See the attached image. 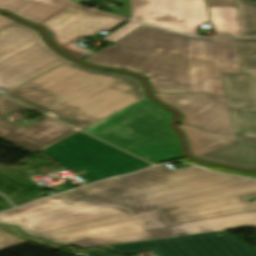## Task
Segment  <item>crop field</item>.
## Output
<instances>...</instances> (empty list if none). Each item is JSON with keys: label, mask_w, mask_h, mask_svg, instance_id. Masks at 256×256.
Segmentation results:
<instances>
[{"label": "crop field", "mask_w": 256, "mask_h": 256, "mask_svg": "<svg viewBox=\"0 0 256 256\" xmlns=\"http://www.w3.org/2000/svg\"><path fill=\"white\" fill-rule=\"evenodd\" d=\"M255 231H256V228H255Z\"/></svg>", "instance_id": "36"}, {"label": "crop field", "mask_w": 256, "mask_h": 256, "mask_svg": "<svg viewBox=\"0 0 256 256\" xmlns=\"http://www.w3.org/2000/svg\"><path fill=\"white\" fill-rule=\"evenodd\" d=\"M190 93L227 103L213 38L188 37Z\"/></svg>", "instance_id": "12"}, {"label": "crop field", "mask_w": 256, "mask_h": 256, "mask_svg": "<svg viewBox=\"0 0 256 256\" xmlns=\"http://www.w3.org/2000/svg\"><path fill=\"white\" fill-rule=\"evenodd\" d=\"M101 248L120 255L154 250L157 256H256L255 249L225 232L101 246ZM87 251L101 256H115L99 249Z\"/></svg>", "instance_id": "9"}, {"label": "crop field", "mask_w": 256, "mask_h": 256, "mask_svg": "<svg viewBox=\"0 0 256 256\" xmlns=\"http://www.w3.org/2000/svg\"><path fill=\"white\" fill-rule=\"evenodd\" d=\"M83 61L148 77L155 92L189 93L187 36L143 25Z\"/></svg>", "instance_id": "3"}, {"label": "crop field", "mask_w": 256, "mask_h": 256, "mask_svg": "<svg viewBox=\"0 0 256 256\" xmlns=\"http://www.w3.org/2000/svg\"><path fill=\"white\" fill-rule=\"evenodd\" d=\"M80 253H82V254H80L78 256H97V255L90 254V253H88L86 251H81Z\"/></svg>", "instance_id": "35"}, {"label": "crop field", "mask_w": 256, "mask_h": 256, "mask_svg": "<svg viewBox=\"0 0 256 256\" xmlns=\"http://www.w3.org/2000/svg\"><path fill=\"white\" fill-rule=\"evenodd\" d=\"M179 128L185 133L189 152L194 157L234 141L233 136H218L183 124Z\"/></svg>", "instance_id": "19"}, {"label": "crop field", "mask_w": 256, "mask_h": 256, "mask_svg": "<svg viewBox=\"0 0 256 256\" xmlns=\"http://www.w3.org/2000/svg\"><path fill=\"white\" fill-rule=\"evenodd\" d=\"M0 137L3 138V139H6V140H8L12 143H15V144H17L21 147H24V148H26V149L34 152V153H37V152L41 151L42 149H44V148L33 145L31 143H28L24 140L18 139L16 137L12 136V135H9V134L3 133V132H0Z\"/></svg>", "instance_id": "28"}, {"label": "crop field", "mask_w": 256, "mask_h": 256, "mask_svg": "<svg viewBox=\"0 0 256 256\" xmlns=\"http://www.w3.org/2000/svg\"><path fill=\"white\" fill-rule=\"evenodd\" d=\"M0 228L6 232H9L17 237H20L22 239H25V240H28V241H31V242H34V243H38V244H42V245H46V246H50V247H54V248H63V247H66V246H60V245H52V244H49L45 241H42L38 238H33V237H30V236H27L25 235L24 233H22L19 229H17L16 227H6L4 225H0ZM66 248H69V249H73V250H79L75 247H66Z\"/></svg>", "instance_id": "26"}, {"label": "crop field", "mask_w": 256, "mask_h": 256, "mask_svg": "<svg viewBox=\"0 0 256 256\" xmlns=\"http://www.w3.org/2000/svg\"><path fill=\"white\" fill-rule=\"evenodd\" d=\"M235 142L196 158L230 166L256 169V139L234 136Z\"/></svg>", "instance_id": "16"}, {"label": "crop field", "mask_w": 256, "mask_h": 256, "mask_svg": "<svg viewBox=\"0 0 256 256\" xmlns=\"http://www.w3.org/2000/svg\"><path fill=\"white\" fill-rule=\"evenodd\" d=\"M195 165H198V166H201V167H204V168H208V169H212V170H216V171H221V172H226V173H231V174H236V175L256 178V175H253V174H246V173H241V172L227 171V170H223V169H219V168H215V167H211V166H207V165H203V164H199V163H196Z\"/></svg>", "instance_id": "32"}, {"label": "crop field", "mask_w": 256, "mask_h": 256, "mask_svg": "<svg viewBox=\"0 0 256 256\" xmlns=\"http://www.w3.org/2000/svg\"><path fill=\"white\" fill-rule=\"evenodd\" d=\"M239 70L256 71V39L233 38Z\"/></svg>", "instance_id": "21"}, {"label": "crop field", "mask_w": 256, "mask_h": 256, "mask_svg": "<svg viewBox=\"0 0 256 256\" xmlns=\"http://www.w3.org/2000/svg\"><path fill=\"white\" fill-rule=\"evenodd\" d=\"M126 21L68 5L38 25L49 31L52 41L59 48L82 59L84 56L79 54L80 52L88 55L93 53L76 45V42L86 36L95 38L101 35L98 33L101 30L112 31Z\"/></svg>", "instance_id": "10"}, {"label": "crop field", "mask_w": 256, "mask_h": 256, "mask_svg": "<svg viewBox=\"0 0 256 256\" xmlns=\"http://www.w3.org/2000/svg\"><path fill=\"white\" fill-rule=\"evenodd\" d=\"M159 100L167 103L170 106H175L176 104H178L180 101H182L187 94H181V95H162L159 93L155 94Z\"/></svg>", "instance_id": "30"}, {"label": "crop field", "mask_w": 256, "mask_h": 256, "mask_svg": "<svg viewBox=\"0 0 256 256\" xmlns=\"http://www.w3.org/2000/svg\"><path fill=\"white\" fill-rule=\"evenodd\" d=\"M243 36H256V2L237 0Z\"/></svg>", "instance_id": "25"}, {"label": "crop field", "mask_w": 256, "mask_h": 256, "mask_svg": "<svg viewBox=\"0 0 256 256\" xmlns=\"http://www.w3.org/2000/svg\"><path fill=\"white\" fill-rule=\"evenodd\" d=\"M12 23H14L13 20L3 16V15H0V30L8 27L9 25H11Z\"/></svg>", "instance_id": "33"}, {"label": "crop field", "mask_w": 256, "mask_h": 256, "mask_svg": "<svg viewBox=\"0 0 256 256\" xmlns=\"http://www.w3.org/2000/svg\"><path fill=\"white\" fill-rule=\"evenodd\" d=\"M256 227V212L168 225L159 209L42 237L82 248Z\"/></svg>", "instance_id": "4"}, {"label": "crop field", "mask_w": 256, "mask_h": 256, "mask_svg": "<svg viewBox=\"0 0 256 256\" xmlns=\"http://www.w3.org/2000/svg\"><path fill=\"white\" fill-rule=\"evenodd\" d=\"M209 6H237L236 0H208Z\"/></svg>", "instance_id": "31"}, {"label": "crop field", "mask_w": 256, "mask_h": 256, "mask_svg": "<svg viewBox=\"0 0 256 256\" xmlns=\"http://www.w3.org/2000/svg\"><path fill=\"white\" fill-rule=\"evenodd\" d=\"M67 60L38 31L16 22L0 32V90L6 92Z\"/></svg>", "instance_id": "7"}, {"label": "crop field", "mask_w": 256, "mask_h": 256, "mask_svg": "<svg viewBox=\"0 0 256 256\" xmlns=\"http://www.w3.org/2000/svg\"><path fill=\"white\" fill-rule=\"evenodd\" d=\"M229 112L234 135L256 138V112L234 108H229Z\"/></svg>", "instance_id": "22"}, {"label": "crop field", "mask_w": 256, "mask_h": 256, "mask_svg": "<svg viewBox=\"0 0 256 256\" xmlns=\"http://www.w3.org/2000/svg\"><path fill=\"white\" fill-rule=\"evenodd\" d=\"M173 108L183 113V120L180 123L218 135H232L227 104L218 103L203 94H188Z\"/></svg>", "instance_id": "14"}, {"label": "crop field", "mask_w": 256, "mask_h": 256, "mask_svg": "<svg viewBox=\"0 0 256 256\" xmlns=\"http://www.w3.org/2000/svg\"><path fill=\"white\" fill-rule=\"evenodd\" d=\"M207 21L209 20L205 0H187L188 33L198 35L197 28Z\"/></svg>", "instance_id": "24"}, {"label": "crop field", "mask_w": 256, "mask_h": 256, "mask_svg": "<svg viewBox=\"0 0 256 256\" xmlns=\"http://www.w3.org/2000/svg\"><path fill=\"white\" fill-rule=\"evenodd\" d=\"M256 196V186L242 188L170 207L161 208L168 224L256 211V203L243 197Z\"/></svg>", "instance_id": "11"}, {"label": "crop field", "mask_w": 256, "mask_h": 256, "mask_svg": "<svg viewBox=\"0 0 256 256\" xmlns=\"http://www.w3.org/2000/svg\"><path fill=\"white\" fill-rule=\"evenodd\" d=\"M216 36H242L237 7H209Z\"/></svg>", "instance_id": "20"}, {"label": "crop field", "mask_w": 256, "mask_h": 256, "mask_svg": "<svg viewBox=\"0 0 256 256\" xmlns=\"http://www.w3.org/2000/svg\"><path fill=\"white\" fill-rule=\"evenodd\" d=\"M67 0H0V8L33 23H40L66 5Z\"/></svg>", "instance_id": "18"}, {"label": "crop field", "mask_w": 256, "mask_h": 256, "mask_svg": "<svg viewBox=\"0 0 256 256\" xmlns=\"http://www.w3.org/2000/svg\"><path fill=\"white\" fill-rule=\"evenodd\" d=\"M25 108H26V107L20 105V106H18V107H16V108L12 109V110H10V111H11V112H14V113H17V112H19V111H21V110H23V109H25Z\"/></svg>", "instance_id": "34"}, {"label": "crop field", "mask_w": 256, "mask_h": 256, "mask_svg": "<svg viewBox=\"0 0 256 256\" xmlns=\"http://www.w3.org/2000/svg\"><path fill=\"white\" fill-rule=\"evenodd\" d=\"M121 207L62 196L36 201L0 215V223L18 225L30 235L42 237L119 217L132 215Z\"/></svg>", "instance_id": "6"}, {"label": "crop field", "mask_w": 256, "mask_h": 256, "mask_svg": "<svg viewBox=\"0 0 256 256\" xmlns=\"http://www.w3.org/2000/svg\"><path fill=\"white\" fill-rule=\"evenodd\" d=\"M19 104L0 96V131L25 139L44 148L78 132L46 116L21 126L7 118L15 115L8 110Z\"/></svg>", "instance_id": "13"}, {"label": "crop field", "mask_w": 256, "mask_h": 256, "mask_svg": "<svg viewBox=\"0 0 256 256\" xmlns=\"http://www.w3.org/2000/svg\"><path fill=\"white\" fill-rule=\"evenodd\" d=\"M222 72H239L231 38H214Z\"/></svg>", "instance_id": "23"}, {"label": "crop field", "mask_w": 256, "mask_h": 256, "mask_svg": "<svg viewBox=\"0 0 256 256\" xmlns=\"http://www.w3.org/2000/svg\"><path fill=\"white\" fill-rule=\"evenodd\" d=\"M251 185L256 181L195 167L172 171L159 166L61 195L73 202L92 200L138 213Z\"/></svg>", "instance_id": "2"}, {"label": "crop field", "mask_w": 256, "mask_h": 256, "mask_svg": "<svg viewBox=\"0 0 256 256\" xmlns=\"http://www.w3.org/2000/svg\"><path fill=\"white\" fill-rule=\"evenodd\" d=\"M43 152L70 171L89 172L80 175L88 182L139 170L150 165L81 132Z\"/></svg>", "instance_id": "8"}, {"label": "crop field", "mask_w": 256, "mask_h": 256, "mask_svg": "<svg viewBox=\"0 0 256 256\" xmlns=\"http://www.w3.org/2000/svg\"><path fill=\"white\" fill-rule=\"evenodd\" d=\"M141 25L142 24L130 21L129 23L125 24L124 26H122L118 30H116L113 33H111L110 35H108L102 41H106V42L112 43V42L120 39L121 37L125 36L129 32L133 31L134 29L138 28Z\"/></svg>", "instance_id": "27"}, {"label": "crop field", "mask_w": 256, "mask_h": 256, "mask_svg": "<svg viewBox=\"0 0 256 256\" xmlns=\"http://www.w3.org/2000/svg\"><path fill=\"white\" fill-rule=\"evenodd\" d=\"M228 106L256 111V72L222 73Z\"/></svg>", "instance_id": "17"}, {"label": "crop field", "mask_w": 256, "mask_h": 256, "mask_svg": "<svg viewBox=\"0 0 256 256\" xmlns=\"http://www.w3.org/2000/svg\"><path fill=\"white\" fill-rule=\"evenodd\" d=\"M4 95L80 130L145 98L137 79L70 61Z\"/></svg>", "instance_id": "1"}, {"label": "crop field", "mask_w": 256, "mask_h": 256, "mask_svg": "<svg viewBox=\"0 0 256 256\" xmlns=\"http://www.w3.org/2000/svg\"><path fill=\"white\" fill-rule=\"evenodd\" d=\"M25 243L24 241L0 231V251Z\"/></svg>", "instance_id": "29"}, {"label": "crop field", "mask_w": 256, "mask_h": 256, "mask_svg": "<svg viewBox=\"0 0 256 256\" xmlns=\"http://www.w3.org/2000/svg\"><path fill=\"white\" fill-rule=\"evenodd\" d=\"M133 19L187 33L186 0H130Z\"/></svg>", "instance_id": "15"}, {"label": "crop field", "mask_w": 256, "mask_h": 256, "mask_svg": "<svg viewBox=\"0 0 256 256\" xmlns=\"http://www.w3.org/2000/svg\"><path fill=\"white\" fill-rule=\"evenodd\" d=\"M171 116L149 98L82 130L153 164L182 158Z\"/></svg>", "instance_id": "5"}]
</instances>
